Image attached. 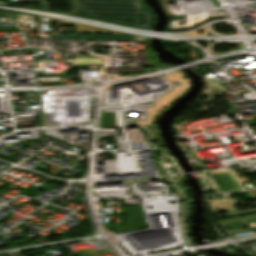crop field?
<instances>
[{
	"mask_svg": "<svg viewBox=\"0 0 256 256\" xmlns=\"http://www.w3.org/2000/svg\"><path fill=\"white\" fill-rule=\"evenodd\" d=\"M64 25L76 26V33L124 34L63 21Z\"/></svg>",
	"mask_w": 256,
	"mask_h": 256,
	"instance_id": "crop-field-4",
	"label": "crop field"
},
{
	"mask_svg": "<svg viewBox=\"0 0 256 256\" xmlns=\"http://www.w3.org/2000/svg\"><path fill=\"white\" fill-rule=\"evenodd\" d=\"M67 14L148 30L154 22L152 11L143 10L142 0H71Z\"/></svg>",
	"mask_w": 256,
	"mask_h": 256,
	"instance_id": "crop-field-1",
	"label": "crop field"
},
{
	"mask_svg": "<svg viewBox=\"0 0 256 256\" xmlns=\"http://www.w3.org/2000/svg\"><path fill=\"white\" fill-rule=\"evenodd\" d=\"M51 39L58 40H78V41H121V42H148L145 37L134 35H62V34H50Z\"/></svg>",
	"mask_w": 256,
	"mask_h": 256,
	"instance_id": "crop-field-2",
	"label": "crop field"
},
{
	"mask_svg": "<svg viewBox=\"0 0 256 256\" xmlns=\"http://www.w3.org/2000/svg\"><path fill=\"white\" fill-rule=\"evenodd\" d=\"M40 2V11L51 12V3L48 0H39Z\"/></svg>",
	"mask_w": 256,
	"mask_h": 256,
	"instance_id": "crop-field-5",
	"label": "crop field"
},
{
	"mask_svg": "<svg viewBox=\"0 0 256 256\" xmlns=\"http://www.w3.org/2000/svg\"><path fill=\"white\" fill-rule=\"evenodd\" d=\"M118 218L125 219V223L123 224V226L112 228V225L103 224L106 233L113 232V229H115L117 233H124L148 227L145 221L144 214L119 216Z\"/></svg>",
	"mask_w": 256,
	"mask_h": 256,
	"instance_id": "crop-field-3",
	"label": "crop field"
}]
</instances>
